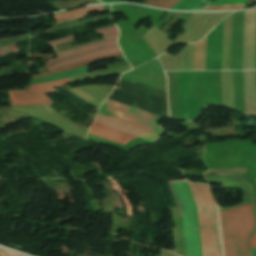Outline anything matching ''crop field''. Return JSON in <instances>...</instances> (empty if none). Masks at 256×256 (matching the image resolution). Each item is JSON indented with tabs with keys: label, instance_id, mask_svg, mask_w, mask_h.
<instances>
[{
	"label": "crop field",
	"instance_id": "crop-field-8",
	"mask_svg": "<svg viewBox=\"0 0 256 256\" xmlns=\"http://www.w3.org/2000/svg\"><path fill=\"white\" fill-rule=\"evenodd\" d=\"M89 133L95 136L101 137L103 139L113 141L123 145H125L128 141L136 138V137L124 134L122 132H119L95 123L90 128Z\"/></svg>",
	"mask_w": 256,
	"mask_h": 256
},
{
	"label": "crop field",
	"instance_id": "crop-field-18",
	"mask_svg": "<svg viewBox=\"0 0 256 256\" xmlns=\"http://www.w3.org/2000/svg\"><path fill=\"white\" fill-rule=\"evenodd\" d=\"M5 252H6V254H7L8 256H19V255H15V254L9 253V252H7V251H5Z\"/></svg>",
	"mask_w": 256,
	"mask_h": 256
},
{
	"label": "crop field",
	"instance_id": "crop-field-10",
	"mask_svg": "<svg viewBox=\"0 0 256 256\" xmlns=\"http://www.w3.org/2000/svg\"><path fill=\"white\" fill-rule=\"evenodd\" d=\"M121 55H123L122 52L115 53V54H110V55H105V56L89 59V60H86V61L70 64V65H67L65 67H62V68L56 69L54 71L48 72L46 74L34 75L33 77L34 78L45 77V76H49V75L56 74V73H59V72H63V71H66V70H70V69H73V68H77V67H81V66H85V65H90L94 61H97V60L111 58V57H116V56H121Z\"/></svg>",
	"mask_w": 256,
	"mask_h": 256
},
{
	"label": "crop field",
	"instance_id": "crop-field-13",
	"mask_svg": "<svg viewBox=\"0 0 256 256\" xmlns=\"http://www.w3.org/2000/svg\"><path fill=\"white\" fill-rule=\"evenodd\" d=\"M180 0H147L144 4L154 7L171 9Z\"/></svg>",
	"mask_w": 256,
	"mask_h": 256
},
{
	"label": "crop field",
	"instance_id": "crop-field-14",
	"mask_svg": "<svg viewBox=\"0 0 256 256\" xmlns=\"http://www.w3.org/2000/svg\"><path fill=\"white\" fill-rule=\"evenodd\" d=\"M200 1L201 0H181L172 9H174V10H191Z\"/></svg>",
	"mask_w": 256,
	"mask_h": 256
},
{
	"label": "crop field",
	"instance_id": "crop-field-12",
	"mask_svg": "<svg viewBox=\"0 0 256 256\" xmlns=\"http://www.w3.org/2000/svg\"><path fill=\"white\" fill-rule=\"evenodd\" d=\"M87 70H88V67H83V68H79L76 70L68 71L65 73L57 74V75H53V76H49V77H45V78H41V79H35V80H33V82L34 83H43V82H47V81H53V80L61 79L64 77H68V76H72V75H76V74H80V73H85V72H87Z\"/></svg>",
	"mask_w": 256,
	"mask_h": 256
},
{
	"label": "crop field",
	"instance_id": "crop-field-7",
	"mask_svg": "<svg viewBox=\"0 0 256 256\" xmlns=\"http://www.w3.org/2000/svg\"><path fill=\"white\" fill-rule=\"evenodd\" d=\"M95 123L137 136L139 138L148 140L153 142L155 139H157L159 137V134L102 116V115H97L95 121Z\"/></svg>",
	"mask_w": 256,
	"mask_h": 256
},
{
	"label": "crop field",
	"instance_id": "crop-field-5",
	"mask_svg": "<svg viewBox=\"0 0 256 256\" xmlns=\"http://www.w3.org/2000/svg\"><path fill=\"white\" fill-rule=\"evenodd\" d=\"M98 113L159 134L162 131L155 123L159 116L108 99L101 105Z\"/></svg>",
	"mask_w": 256,
	"mask_h": 256
},
{
	"label": "crop field",
	"instance_id": "crop-field-6",
	"mask_svg": "<svg viewBox=\"0 0 256 256\" xmlns=\"http://www.w3.org/2000/svg\"><path fill=\"white\" fill-rule=\"evenodd\" d=\"M68 79H62L44 84L30 85L27 90L8 92L11 105H29L52 102L43 93L55 92L52 86L68 84Z\"/></svg>",
	"mask_w": 256,
	"mask_h": 256
},
{
	"label": "crop field",
	"instance_id": "crop-field-19",
	"mask_svg": "<svg viewBox=\"0 0 256 256\" xmlns=\"http://www.w3.org/2000/svg\"><path fill=\"white\" fill-rule=\"evenodd\" d=\"M0 253H1L2 256H6L1 249H0Z\"/></svg>",
	"mask_w": 256,
	"mask_h": 256
},
{
	"label": "crop field",
	"instance_id": "crop-field-11",
	"mask_svg": "<svg viewBox=\"0 0 256 256\" xmlns=\"http://www.w3.org/2000/svg\"><path fill=\"white\" fill-rule=\"evenodd\" d=\"M100 10H104V8L102 6H94V7H85V8H80V9H76V10H72L63 14H58L55 15L54 18L59 21V20H63V19H67V18H71V17H75V16H79L85 13H88L90 11H100Z\"/></svg>",
	"mask_w": 256,
	"mask_h": 256
},
{
	"label": "crop field",
	"instance_id": "crop-field-20",
	"mask_svg": "<svg viewBox=\"0 0 256 256\" xmlns=\"http://www.w3.org/2000/svg\"><path fill=\"white\" fill-rule=\"evenodd\" d=\"M256 233V228H255V231H254V233L253 234H255Z\"/></svg>",
	"mask_w": 256,
	"mask_h": 256
},
{
	"label": "crop field",
	"instance_id": "crop-field-3",
	"mask_svg": "<svg viewBox=\"0 0 256 256\" xmlns=\"http://www.w3.org/2000/svg\"><path fill=\"white\" fill-rule=\"evenodd\" d=\"M96 31L98 33L102 32L105 41L57 52L58 58L49 60L46 64L48 71L70 63L120 51L117 46L118 30L116 26Z\"/></svg>",
	"mask_w": 256,
	"mask_h": 256
},
{
	"label": "crop field",
	"instance_id": "crop-field-4",
	"mask_svg": "<svg viewBox=\"0 0 256 256\" xmlns=\"http://www.w3.org/2000/svg\"><path fill=\"white\" fill-rule=\"evenodd\" d=\"M185 183H186V185L188 187V190L190 192V195L193 199V196L191 194L188 183L187 182H185ZM185 183L184 182H178V183H172V184H173L174 189L177 193L179 201L182 205L181 211H182V219H183V227H184V235H185L187 256H200L201 243H200V235H199L196 204H195L194 199H193V202L195 204V210H196L197 227H198V235H199V243H200V252H199V243H198V235H197L194 204L191 200V197L189 195V192L186 188ZM201 256H202V252H201Z\"/></svg>",
	"mask_w": 256,
	"mask_h": 256
},
{
	"label": "crop field",
	"instance_id": "crop-field-17",
	"mask_svg": "<svg viewBox=\"0 0 256 256\" xmlns=\"http://www.w3.org/2000/svg\"><path fill=\"white\" fill-rule=\"evenodd\" d=\"M84 17H88V14L82 15V16H79V17H75V18H71V19H68V20L84 18ZM68 20H64V21H60V22H55V25L58 24V23H62V22L68 21Z\"/></svg>",
	"mask_w": 256,
	"mask_h": 256
},
{
	"label": "crop field",
	"instance_id": "crop-field-21",
	"mask_svg": "<svg viewBox=\"0 0 256 256\" xmlns=\"http://www.w3.org/2000/svg\"><path fill=\"white\" fill-rule=\"evenodd\" d=\"M256 180V179H255Z\"/></svg>",
	"mask_w": 256,
	"mask_h": 256
},
{
	"label": "crop field",
	"instance_id": "crop-field-9",
	"mask_svg": "<svg viewBox=\"0 0 256 256\" xmlns=\"http://www.w3.org/2000/svg\"><path fill=\"white\" fill-rule=\"evenodd\" d=\"M248 0H214L203 10L242 9Z\"/></svg>",
	"mask_w": 256,
	"mask_h": 256
},
{
	"label": "crop field",
	"instance_id": "crop-field-16",
	"mask_svg": "<svg viewBox=\"0 0 256 256\" xmlns=\"http://www.w3.org/2000/svg\"><path fill=\"white\" fill-rule=\"evenodd\" d=\"M248 244L250 249L256 246V235L250 238Z\"/></svg>",
	"mask_w": 256,
	"mask_h": 256
},
{
	"label": "crop field",
	"instance_id": "crop-field-2",
	"mask_svg": "<svg viewBox=\"0 0 256 256\" xmlns=\"http://www.w3.org/2000/svg\"><path fill=\"white\" fill-rule=\"evenodd\" d=\"M197 204L203 256H221L216 208L207 185L189 183Z\"/></svg>",
	"mask_w": 256,
	"mask_h": 256
},
{
	"label": "crop field",
	"instance_id": "crop-field-15",
	"mask_svg": "<svg viewBox=\"0 0 256 256\" xmlns=\"http://www.w3.org/2000/svg\"><path fill=\"white\" fill-rule=\"evenodd\" d=\"M72 40H73V36L68 37V38H64V39H61V40H57V41H54V42H50V44L56 45V44H60V43H64V42H68V41H72Z\"/></svg>",
	"mask_w": 256,
	"mask_h": 256
},
{
	"label": "crop field",
	"instance_id": "crop-field-1",
	"mask_svg": "<svg viewBox=\"0 0 256 256\" xmlns=\"http://www.w3.org/2000/svg\"><path fill=\"white\" fill-rule=\"evenodd\" d=\"M220 211V225L222 233L224 256H249L247 249V239L254 227V207L253 204H246Z\"/></svg>",
	"mask_w": 256,
	"mask_h": 256
}]
</instances>
